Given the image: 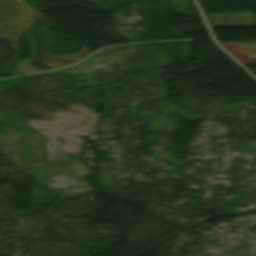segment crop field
Wrapping results in <instances>:
<instances>
[{"mask_svg": "<svg viewBox=\"0 0 256 256\" xmlns=\"http://www.w3.org/2000/svg\"><path fill=\"white\" fill-rule=\"evenodd\" d=\"M212 28L254 25L256 16L251 11L206 15Z\"/></svg>", "mask_w": 256, "mask_h": 256, "instance_id": "crop-field-1", "label": "crop field"}]
</instances>
